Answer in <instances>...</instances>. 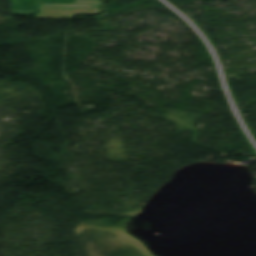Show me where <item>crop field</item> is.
I'll list each match as a JSON object with an SVG mask.
<instances>
[{"mask_svg": "<svg viewBox=\"0 0 256 256\" xmlns=\"http://www.w3.org/2000/svg\"><path fill=\"white\" fill-rule=\"evenodd\" d=\"M101 0H76V4H40L35 18H71L75 14L100 13Z\"/></svg>", "mask_w": 256, "mask_h": 256, "instance_id": "obj_1", "label": "crop field"}, {"mask_svg": "<svg viewBox=\"0 0 256 256\" xmlns=\"http://www.w3.org/2000/svg\"><path fill=\"white\" fill-rule=\"evenodd\" d=\"M12 11L14 15H31L37 12V0H12Z\"/></svg>", "mask_w": 256, "mask_h": 256, "instance_id": "obj_2", "label": "crop field"}, {"mask_svg": "<svg viewBox=\"0 0 256 256\" xmlns=\"http://www.w3.org/2000/svg\"><path fill=\"white\" fill-rule=\"evenodd\" d=\"M41 3H74V0H40Z\"/></svg>", "mask_w": 256, "mask_h": 256, "instance_id": "obj_3", "label": "crop field"}]
</instances>
